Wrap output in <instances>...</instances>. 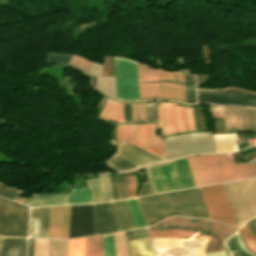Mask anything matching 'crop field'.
Here are the masks:
<instances>
[{
	"label": "crop field",
	"mask_w": 256,
	"mask_h": 256,
	"mask_svg": "<svg viewBox=\"0 0 256 256\" xmlns=\"http://www.w3.org/2000/svg\"><path fill=\"white\" fill-rule=\"evenodd\" d=\"M186 158L196 186L256 176V163L236 164L225 154ZM186 158L146 167L153 193L195 186Z\"/></svg>",
	"instance_id": "crop-field-1"
},
{
	"label": "crop field",
	"mask_w": 256,
	"mask_h": 256,
	"mask_svg": "<svg viewBox=\"0 0 256 256\" xmlns=\"http://www.w3.org/2000/svg\"><path fill=\"white\" fill-rule=\"evenodd\" d=\"M137 199L148 226L173 215L211 219L199 187Z\"/></svg>",
	"instance_id": "crop-field-2"
},
{
	"label": "crop field",
	"mask_w": 256,
	"mask_h": 256,
	"mask_svg": "<svg viewBox=\"0 0 256 256\" xmlns=\"http://www.w3.org/2000/svg\"><path fill=\"white\" fill-rule=\"evenodd\" d=\"M199 227L213 233L205 252L224 251L222 239L233 232L235 228L223 226L203 219H184L182 217L168 218L149 227L151 237H171L191 235Z\"/></svg>",
	"instance_id": "crop-field-3"
},
{
	"label": "crop field",
	"mask_w": 256,
	"mask_h": 256,
	"mask_svg": "<svg viewBox=\"0 0 256 256\" xmlns=\"http://www.w3.org/2000/svg\"><path fill=\"white\" fill-rule=\"evenodd\" d=\"M158 116V127H162L164 136L196 130L191 107L159 102Z\"/></svg>",
	"instance_id": "crop-field-4"
},
{
	"label": "crop field",
	"mask_w": 256,
	"mask_h": 256,
	"mask_svg": "<svg viewBox=\"0 0 256 256\" xmlns=\"http://www.w3.org/2000/svg\"><path fill=\"white\" fill-rule=\"evenodd\" d=\"M155 126V123L118 124L116 137L135 144L164 159L160 139L153 133Z\"/></svg>",
	"instance_id": "crop-field-5"
},
{
	"label": "crop field",
	"mask_w": 256,
	"mask_h": 256,
	"mask_svg": "<svg viewBox=\"0 0 256 256\" xmlns=\"http://www.w3.org/2000/svg\"><path fill=\"white\" fill-rule=\"evenodd\" d=\"M117 99L139 100L136 62L114 57Z\"/></svg>",
	"instance_id": "crop-field-6"
},
{
	"label": "crop field",
	"mask_w": 256,
	"mask_h": 256,
	"mask_svg": "<svg viewBox=\"0 0 256 256\" xmlns=\"http://www.w3.org/2000/svg\"><path fill=\"white\" fill-rule=\"evenodd\" d=\"M213 220L236 225L221 184L200 187ZM209 215V216H210Z\"/></svg>",
	"instance_id": "crop-field-7"
},
{
	"label": "crop field",
	"mask_w": 256,
	"mask_h": 256,
	"mask_svg": "<svg viewBox=\"0 0 256 256\" xmlns=\"http://www.w3.org/2000/svg\"><path fill=\"white\" fill-rule=\"evenodd\" d=\"M93 234V204L71 205L69 239Z\"/></svg>",
	"instance_id": "crop-field-8"
},
{
	"label": "crop field",
	"mask_w": 256,
	"mask_h": 256,
	"mask_svg": "<svg viewBox=\"0 0 256 256\" xmlns=\"http://www.w3.org/2000/svg\"><path fill=\"white\" fill-rule=\"evenodd\" d=\"M159 99L185 102L183 74L157 69Z\"/></svg>",
	"instance_id": "crop-field-9"
},
{
	"label": "crop field",
	"mask_w": 256,
	"mask_h": 256,
	"mask_svg": "<svg viewBox=\"0 0 256 256\" xmlns=\"http://www.w3.org/2000/svg\"><path fill=\"white\" fill-rule=\"evenodd\" d=\"M129 256H156L147 228L127 231Z\"/></svg>",
	"instance_id": "crop-field-10"
},
{
	"label": "crop field",
	"mask_w": 256,
	"mask_h": 256,
	"mask_svg": "<svg viewBox=\"0 0 256 256\" xmlns=\"http://www.w3.org/2000/svg\"><path fill=\"white\" fill-rule=\"evenodd\" d=\"M70 205L51 207L49 238L68 239Z\"/></svg>",
	"instance_id": "crop-field-11"
},
{
	"label": "crop field",
	"mask_w": 256,
	"mask_h": 256,
	"mask_svg": "<svg viewBox=\"0 0 256 256\" xmlns=\"http://www.w3.org/2000/svg\"><path fill=\"white\" fill-rule=\"evenodd\" d=\"M139 94L142 99H158L156 69L137 62Z\"/></svg>",
	"instance_id": "crop-field-12"
},
{
	"label": "crop field",
	"mask_w": 256,
	"mask_h": 256,
	"mask_svg": "<svg viewBox=\"0 0 256 256\" xmlns=\"http://www.w3.org/2000/svg\"><path fill=\"white\" fill-rule=\"evenodd\" d=\"M50 207L31 208L29 236L48 238Z\"/></svg>",
	"instance_id": "crop-field-13"
},
{
	"label": "crop field",
	"mask_w": 256,
	"mask_h": 256,
	"mask_svg": "<svg viewBox=\"0 0 256 256\" xmlns=\"http://www.w3.org/2000/svg\"><path fill=\"white\" fill-rule=\"evenodd\" d=\"M96 234L117 231L110 202L94 204Z\"/></svg>",
	"instance_id": "crop-field-14"
},
{
	"label": "crop field",
	"mask_w": 256,
	"mask_h": 256,
	"mask_svg": "<svg viewBox=\"0 0 256 256\" xmlns=\"http://www.w3.org/2000/svg\"><path fill=\"white\" fill-rule=\"evenodd\" d=\"M118 231L136 228L127 199L111 202Z\"/></svg>",
	"instance_id": "crop-field-15"
},
{
	"label": "crop field",
	"mask_w": 256,
	"mask_h": 256,
	"mask_svg": "<svg viewBox=\"0 0 256 256\" xmlns=\"http://www.w3.org/2000/svg\"><path fill=\"white\" fill-rule=\"evenodd\" d=\"M27 238L3 237L2 256H26Z\"/></svg>",
	"instance_id": "crop-field-16"
},
{
	"label": "crop field",
	"mask_w": 256,
	"mask_h": 256,
	"mask_svg": "<svg viewBox=\"0 0 256 256\" xmlns=\"http://www.w3.org/2000/svg\"><path fill=\"white\" fill-rule=\"evenodd\" d=\"M69 193L65 194H49V195H32L27 205L41 206V205H59L67 204Z\"/></svg>",
	"instance_id": "crop-field-17"
},
{
	"label": "crop field",
	"mask_w": 256,
	"mask_h": 256,
	"mask_svg": "<svg viewBox=\"0 0 256 256\" xmlns=\"http://www.w3.org/2000/svg\"><path fill=\"white\" fill-rule=\"evenodd\" d=\"M100 117L124 122L123 103L107 98Z\"/></svg>",
	"instance_id": "crop-field-18"
},
{
	"label": "crop field",
	"mask_w": 256,
	"mask_h": 256,
	"mask_svg": "<svg viewBox=\"0 0 256 256\" xmlns=\"http://www.w3.org/2000/svg\"><path fill=\"white\" fill-rule=\"evenodd\" d=\"M230 104L256 106V94L246 93L237 89H229Z\"/></svg>",
	"instance_id": "crop-field-19"
},
{
	"label": "crop field",
	"mask_w": 256,
	"mask_h": 256,
	"mask_svg": "<svg viewBox=\"0 0 256 256\" xmlns=\"http://www.w3.org/2000/svg\"><path fill=\"white\" fill-rule=\"evenodd\" d=\"M198 102H212L227 105L225 90L223 91H200L197 89Z\"/></svg>",
	"instance_id": "crop-field-20"
},
{
	"label": "crop field",
	"mask_w": 256,
	"mask_h": 256,
	"mask_svg": "<svg viewBox=\"0 0 256 256\" xmlns=\"http://www.w3.org/2000/svg\"><path fill=\"white\" fill-rule=\"evenodd\" d=\"M86 256H103L101 235L86 238Z\"/></svg>",
	"instance_id": "crop-field-21"
},
{
	"label": "crop field",
	"mask_w": 256,
	"mask_h": 256,
	"mask_svg": "<svg viewBox=\"0 0 256 256\" xmlns=\"http://www.w3.org/2000/svg\"><path fill=\"white\" fill-rule=\"evenodd\" d=\"M225 242L230 252L238 251L242 256H254L245 249L240 237L238 236V231Z\"/></svg>",
	"instance_id": "crop-field-22"
},
{
	"label": "crop field",
	"mask_w": 256,
	"mask_h": 256,
	"mask_svg": "<svg viewBox=\"0 0 256 256\" xmlns=\"http://www.w3.org/2000/svg\"><path fill=\"white\" fill-rule=\"evenodd\" d=\"M93 202L89 189H71L68 204Z\"/></svg>",
	"instance_id": "crop-field-23"
},
{
	"label": "crop field",
	"mask_w": 256,
	"mask_h": 256,
	"mask_svg": "<svg viewBox=\"0 0 256 256\" xmlns=\"http://www.w3.org/2000/svg\"><path fill=\"white\" fill-rule=\"evenodd\" d=\"M68 256H85V238L69 240Z\"/></svg>",
	"instance_id": "crop-field-24"
},
{
	"label": "crop field",
	"mask_w": 256,
	"mask_h": 256,
	"mask_svg": "<svg viewBox=\"0 0 256 256\" xmlns=\"http://www.w3.org/2000/svg\"><path fill=\"white\" fill-rule=\"evenodd\" d=\"M186 103H195L194 76L184 74Z\"/></svg>",
	"instance_id": "crop-field-25"
},
{
	"label": "crop field",
	"mask_w": 256,
	"mask_h": 256,
	"mask_svg": "<svg viewBox=\"0 0 256 256\" xmlns=\"http://www.w3.org/2000/svg\"><path fill=\"white\" fill-rule=\"evenodd\" d=\"M240 231H241L242 238L246 243V245L248 246V248L253 253L256 254V239L254 238V236L252 235V233L250 232L246 224L240 228Z\"/></svg>",
	"instance_id": "crop-field-26"
},
{
	"label": "crop field",
	"mask_w": 256,
	"mask_h": 256,
	"mask_svg": "<svg viewBox=\"0 0 256 256\" xmlns=\"http://www.w3.org/2000/svg\"><path fill=\"white\" fill-rule=\"evenodd\" d=\"M137 228L146 227L135 198L128 199Z\"/></svg>",
	"instance_id": "crop-field-27"
},
{
	"label": "crop field",
	"mask_w": 256,
	"mask_h": 256,
	"mask_svg": "<svg viewBox=\"0 0 256 256\" xmlns=\"http://www.w3.org/2000/svg\"><path fill=\"white\" fill-rule=\"evenodd\" d=\"M104 256H115L112 233L102 235Z\"/></svg>",
	"instance_id": "crop-field-28"
},
{
	"label": "crop field",
	"mask_w": 256,
	"mask_h": 256,
	"mask_svg": "<svg viewBox=\"0 0 256 256\" xmlns=\"http://www.w3.org/2000/svg\"><path fill=\"white\" fill-rule=\"evenodd\" d=\"M133 122L145 121L144 102L132 104Z\"/></svg>",
	"instance_id": "crop-field-29"
},
{
	"label": "crop field",
	"mask_w": 256,
	"mask_h": 256,
	"mask_svg": "<svg viewBox=\"0 0 256 256\" xmlns=\"http://www.w3.org/2000/svg\"><path fill=\"white\" fill-rule=\"evenodd\" d=\"M70 57L71 55L49 53L45 62L56 63V64H67Z\"/></svg>",
	"instance_id": "crop-field-30"
},
{
	"label": "crop field",
	"mask_w": 256,
	"mask_h": 256,
	"mask_svg": "<svg viewBox=\"0 0 256 256\" xmlns=\"http://www.w3.org/2000/svg\"><path fill=\"white\" fill-rule=\"evenodd\" d=\"M146 121H156V102H145Z\"/></svg>",
	"instance_id": "crop-field-31"
},
{
	"label": "crop field",
	"mask_w": 256,
	"mask_h": 256,
	"mask_svg": "<svg viewBox=\"0 0 256 256\" xmlns=\"http://www.w3.org/2000/svg\"><path fill=\"white\" fill-rule=\"evenodd\" d=\"M19 193H20L19 190H15L8 186H4L0 184V195L4 197L14 200L19 195Z\"/></svg>",
	"instance_id": "crop-field-32"
},
{
	"label": "crop field",
	"mask_w": 256,
	"mask_h": 256,
	"mask_svg": "<svg viewBox=\"0 0 256 256\" xmlns=\"http://www.w3.org/2000/svg\"><path fill=\"white\" fill-rule=\"evenodd\" d=\"M210 111L215 118H224L223 108L221 107H210Z\"/></svg>",
	"instance_id": "crop-field-33"
},
{
	"label": "crop field",
	"mask_w": 256,
	"mask_h": 256,
	"mask_svg": "<svg viewBox=\"0 0 256 256\" xmlns=\"http://www.w3.org/2000/svg\"><path fill=\"white\" fill-rule=\"evenodd\" d=\"M125 122H132L131 104L124 103Z\"/></svg>",
	"instance_id": "crop-field-34"
},
{
	"label": "crop field",
	"mask_w": 256,
	"mask_h": 256,
	"mask_svg": "<svg viewBox=\"0 0 256 256\" xmlns=\"http://www.w3.org/2000/svg\"><path fill=\"white\" fill-rule=\"evenodd\" d=\"M119 199L127 197L125 184L117 185Z\"/></svg>",
	"instance_id": "crop-field-35"
},
{
	"label": "crop field",
	"mask_w": 256,
	"mask_h": 256,
	"mask_svg": "<svg viewBox=\"0 0 256 256\" xmlns=\"http://www.w3.org/2000/svg\"><path fill=\"white\" fill-rule=\"evenodd\" d=\"M246 224L256 238V218L251 219V221Z\"/></svg>",
	"instance_id": "crop-field-36"
},
{
	"label": "crop field",
	"mask_w": 256,
	"mask_h": 256,
	"mask_svg": "<svg viewBox=\"0 0 256 256\" xmlns=\"http://www.w3.org/2000/svg\"><path fill=\"white\" fill-rule=\"evenodd\" d=\"M34 239L29 238L28 256H33Z\"/></svg>",
	"instance_id": "crop-field-37"
},
{
	"label": "crop field",
	"mask_w": 256,
	"mask_h": 256,
	"mask_svg": "<svg viewBox=\"0 0 256 256\" xmlns=\"http://www.w3.org/2000/svg\"><path fill=\"white\" fill-rule=\"evenodd\" d=\"M1 243H2V237H0V255H1Z\"/></svg>",
	"instance_id": "crop-field-38"
},
{
	"label": "crop field",
	"mask_w": 256,
	"mask_h": 256,
	"mask_svg": "<svg viewBox=\"0 0 256 256\" xmlns=\"http://www.w3.org/2000/svg\"><path fill=\"white\" fill-rule=\"evenodd\" d=\"M226 93H227V101H228V105H229L228 90H226Z\"/></svg>",
	"instance_id": "crop-field-39"
}]
</instances>
